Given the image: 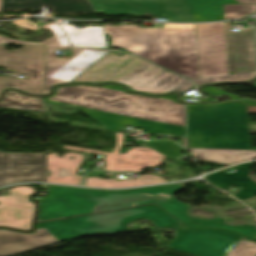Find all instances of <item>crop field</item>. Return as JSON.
Returning <instances> with one entry per match:
<instances>
[{
    "instance_id": "3316defc",
    "label": "crop field",
    "mask_w": 256,
    "mask_h": 256,
    "mask_svg": "<svg viewBox=\"0 0 256 256\" xmlns=\"http://www.w3.org/2000/svg\"><path fill=\"white\" fill-rule=\"evenodd\" d=\"M55 49L67 50L69 47L47 46L44 95L57 83H67L100 59L109 51L91 48H71L69 60L55 58ZM75 79V78H74Z\"/></svg>"
},
{
    "instance_id": "214f88e0",
    "label": "crop field",
    "mask_w": 256,
    "mask_h": 256,
    "mask_svg": "<svg viewBox=\"0 0 256 256\" xmlns=\"http://www.w3.org/2000/svg\"><path fill=\"white\" fill-rule=\"evenodd\" d=\"M196 160L211 161L223 164L239 163L256 159V151L188 149Z\"/></svg>"
},
{
    "instance_id": "5a996713",
    "label": "crop field",
    "mask_w": 256,
    "mask_h": 256,
    "mask_svg": "<svg viewBox=\"0 0 256 256\" xmlns=\"http://www.w3.org/2000/svg\"><path fill=\"white\" fill-rule=\"evenodd\" d=\"M96 13L171 18V22H194L192 0H89Z\"/></svg>"
},
{
    "instance_id": "733c2abd",
    "label": "crop field",
    "mask_w": 256,
    "mask_h": 256,
    "mask_svg": "<svg viewBox=\"0 0 256 256\" xmlns=\"http://www.w3.org/2000/svg\"><path fill=\"white\" fill-rule=\"evenodd\" d=\"M251 164L252 162L235 166L234 173H226L223 171L213 173L208 176V180L224 190L230 184L243 187L235 197L245 200L254 196L256 193V184L248 177Z\"/></svg>"
},
{
    "instance_id": "bd1437ed",
    "label": "crop field",
    "mask_w": 256,
    "mask_h": 256,
    "mask_svg": "<svg viewBox=\"0 0 256 256\" xmlns=\"http://www.w3.org/2000/svg\"><path fill=\"white\" fill-rule=\"evenodd\" d=\"M135 158H144V159H156L161 161L162 158H157V157H143V156H136Z\"/></svg>"
},
{
    "instance_id": "028f5c9d",
    "label": "crop field",
    "mask_w": 256,
    "mask_h": 256,
    "mask_svg": "<svg viewBox=\"0 0 256 256\" xmlns=\"http://www.w3.org/2000/svg\"><path fill=\"white\" fill-rule=\"evenodd\" d=\"M255 89H256V87H255Z\"/></svg>"
},
{
    "instance_id": "ac0d7876",
    "label": "crop field",
    "mask_w": 256,
    "mask_h": 256,
    "mask_svg": "<svg viewBox=\"0 0 256 256\" xmlns=\"http://www.w3.org/2000/svg\"><path fill=\"white\" fill-rule=\"evenodd\" d=\"M185 189L186 187L179 184L125 191H100L49 185L48 198L40 200L38 222L156 203L189 226L222 228L256 238L254 225L228 226L225 225V218L222 217L202 220L189 216L187 211L190 206L174 198L176 193Z\"/></svg>"
},
{
    "instance_id": "d3111659",
    "label": "crop field",
    "mask_w": 256,
    "mask_h": 256,
    "mask_svg": "<svg viewBox=\"0 0 256 256\" xmlns=\"http://www.w3.org/2000/svg\"><path fill=\"white\" fill-rule=\"evenodd\" d=\"M249 113H256V104H248Z\"/></svg>"
},
{
    "instance_id": "dd49c442",
    "label": "crop field",
    "mask_w": 256,
    "mask_h": 256,
    "mask_svg": "<svg viewBox=\"0 0 256 256\" xmlns=\"http://www.w3.org/2000/svg\"><path fill=\"white\" fill-rule=\"evenodd\" d=\"M109 52L72 82L114 81L133 90L160 94L168 91L184 92L194 83L154 66L137 57H122Z\"/></svg>"
},
{
    "instance_id": "cbeb9de0",
    "label": "crop field",
    "mask_w": 256,
    "mask_h": 256,
    "mask_svg": "<svg viewBox=\"0 0 256 256\" xmlns=\"http://www.w3.org/2000/svg\"><path fill=\"white\" fill-rule=\"evenodd\" d=\"M57 242L59 241L45 229H36L31 234L0 229V256H11Z\"/></svg>"
},
{
    "instance_id": "d1516ede",
    "label": "crop field",
    "mask_w": 256,
    "mask_h": 256,
    "mask_svg": "<svg viewBox=\"0 0 256 256\" xmlns=\"http://www.w3.org/2000/svg\"><path fill=\"white\" fill-rule=\"evenodd\" d=\"M8 191L9 196L0 197V225L28 230L34 206L26 196L34 189L21 186Z\"/></svg>"
},
{
    "instance_id": "d9b57169",
    "label": "crop field",
    "mask_w": 256,
    "mask_h": 256,
    "mask_svg": "<svg viewBox=\"0 0 256 256\" xmlns=\"http://www.w3.org/2000/svg\"><path fill=\"white\" fill-rule=\"evenodd\" d=\"M50 7L54 12L76 14L95 12L88 0H3L1 11Z\"/></svg>"
},
{
    "instance_id": "1d83c4d3",
    "label": "crop field",
    "mask_w": 256,
    "mask_h": 256,
    "mask_svg": "<svg viewBox=\"0 0 256 256\" xmlns=\"http://www.w3.org/2000/svg\"><path fill=\"white\" fill-rule=\"evenodd\" d=\"M181 141L184 142V146L183 147H187V138H181Z\"/></svg>"
},
{
    "instance_id": "f4fd0767",
    "label": "crop field",
    "mask_w": 256,
    "mask_h": 256,
    "mask_svg": "<svg viewBox=\"0 0 256 256\" xmlns=\"http://www.w3.org/2000/svg\"><path fill=\"white\" fill-rule=\"evenodd\" d=\"M188 130L190 147L250 149L241 102L188 105Z\"/></svg>"
},
{
    "instance_id": "00972430",
    "label": "crop field",
    "mask_w": 256,
    "mask_h": 256,
    "mask_svg": "<svg viewBox=\"0 0 256 256\" xmlns=\"http://www.w3.org/2000/svg\"><path fill=\"white\" fill-rule=\"evenodd\" d=\"M145 175L138 177V179H130V180H116V179H101V178H87L85 186L92 187H128V186H136V185H145V184H154V183H163L167 182L165 179L156 176L150 175L151 177L146 179ZM150 180H154L151 182Z\"/></svg>"
},
{
    "instance_id": "8a807250",
    "label": "crop field",
    "mask_w": 256,
    "mask_h": 256,
    "mask_svg": "<svg viewBox=\"0 0 256 256\" xmlns=\"http://www.w3.org/2000/svg\"><path fill=\"white\" fill-rule=\"evenodd\" d=\"M177 95L151 97L130 94L119 85L80 84L56 87L44 100L78 107L110 131L131 125L147 133L185 136L184 104Z\"/></svg>"
},
{
    "instance_id": "120bbe31",
    "label": "crop field",
    "mask_w": 256,
    "mask_h": 256,
    "mask_svg": "<svg viewBox=\"0 0 256 256\" xmlns=\"http://www.w3.org/2000/svg\"><path fill=\"white\" fill-rule=\"evenodd\" d=\"M136 149L151 150L149 148H136Z\"/></svg>"
},
{
    "instance_id": "bc2a9ffb",
    "label": "crop field",
    "mask_w": 256,
    "mask_h": 256,
    "mask_svg": "<svg viewBox=\"0 0 256 256\" xmlns=\"http://www.w3.org/2000/svg\"><path fill=\"white\" fill-rule=\"evenodd\" d=\"M73 46L107 48L103 27L77 29L72 25L60 24Z\"/></svg>"
},
{
    "instance_id": "ae1a2a85",
    "label": "crop field",
    "mask_w": 256,
    "mask_h": 256,
    "mask_svg": "<svg viewBox=\"0 0 256 256\" xmlns=\"http://www.w3.org/2000/svg\"><path fill=\"white\" fill-rule=\"evenodd\" d=\"M201 90H202L203 92H205V93H208V94L213 95V96H216V97H220L222 94H227V95H229L233 100L240 99V98H238V97H235V96H233V95H231V94H228V93H226V92H223V91H221V90H219V89H217V88L211 87V86H205V87H203Z\"/></svg>"
},
{
    "instance_id": "730fd06b",
    "label": "crop field",
    "mask_w": 256,
    "mask_h": 256,
    "mask_svg": "<svg viewBox=\"0 0 256 256\" xmlns=\"http://www.w3.org/2000/svg\"><path fill=\"white\" fill-rule=\"evenodd\" d=\"M227 256H256V245L251 242L240 241L228 252Z\"/></svg>"
},
{
    "instance_id": "d32e631a",
    "label": "crop field",
    "mask_w": 256,
    "mask_h": 256,
    "mask_svg": "<svg viewBox=\"0 0 256 256\" xmlns=\"http://www.w3.org/2000/svg\"><path fill=\"white\" fill-rule=\"evenodd\" d=\"M67 173H69V172H66V173H62L61 175H62V176H64V175H65V174H67Z\"/></svg>"
},
{
    "instance_id": "eef30255",
    "label": "crop field",
    "mask_w": 256,
    "mask_h": 256,
    "mask_svg": "<svg viewBox=\"0 0 256 256\" xmlns=\"http://www.w3.org/2000/svg\"><path fill=\"white\" fill-rule=\"evenodd\" d=\"M151 146L155 148V150L159 153L168 152L172 150L181 149L178 145H176L172 141L167 142H159V143H149Z\"/></svg>"
},
{
    "instance_id": "5142ce71",
    "label": "crop field",
    "mask_w": 256,
    "mask_h": 256,
    "mask_svg": "<svg viewBox=\"0 0 256 256\" xmlns=\"http://www.w3.org/2000/svg\"><path fill=\"white\" fill-rule=\"evenodd\" d=\"M116 135H117L118 145L112 154L78 149V148H71L66 146H63V148L97 153V154H107L105 158V160L107 161V166L104 170H109V171H140V169L144 167L160 165V162L156 160L132 159L136 155L164 157L163 155L155 151H142V150L131 149L126 154L120 155L118 151L123 144V135L122 133H116Z\"/></svg>"
},
{
    "instance_id": "4a817a6b",
    "label": "crop field",
    "mask_w": 256,
    "mask_h": 256,
    "mask_svg": "<svg viewBox=\"0 0 256 256\" xmlns=\"http://www.w3.org/2000/svg\"><path fill=\"white\" fill-rule=\"evenodd\" d=\"M70 156L76 157L69 160ZM83 155L65 154L64 158L57 157L56 153L48 155V170L52 171L48 182L80 185L82 176H76V171L82 163ZM70 171V174L62 177L61 172Z\"/></svg>"
},
{
    "instance_id": "92a150f3",
    "label": "crop field",
    "mask_w": 256,
    "mask_h": 256,
    "mask_svg": "<svg viewBox=\"0 0 256 256\" xmlns=\"http://www.w3.org/2000/svg\"><path fill=\"white\" fill-rule=\"evenodd\" d=\"M223 4H237L233 0H193L195 22L224 20Z\"/></svg>"
},
{
    "instance_id": "d8731c3e",
    "label": "crop field",
    "mask_w": 256,
    "mask_h": 256,
    "mask_svg": "<svg viewBox=\"0 0 256 256\" xmlns=\"http://www.w3.org/2000/svg\"><path fill=\"white\" fill-rule=\"evenodd\" d=\"M45 57L46 46H24L8 52L6 45H0V66L14 74L28 73V80L0 76V97L8 88L43 95Z\"/></svg>"
},
{
    "instance_id": "5866460e",
    "label": "crop field",
    "mask_w": 256,
    "mask_h": 256,
    "mask_svg": "<svg viewBox=\"0 0 256 256\" xmlns=\"http://www.w3.org/2000/svg\"><path fill=\"white\" fill-rule=\"evenodd\" d=\"M0 8H1V0H0Z\"/></svg>"
},
{
    "instance_id": "e52e79f7",
    "label": "crop field",
    "mask_w": 256,
    "mask_h": 256,
    "mask_svg": "<svg viewBox=\"0 0 256 256\" xmlns=\"http://www.w3.org/2000/svg\"><path fill=\"white\" fill-rule=\"evenodd\" d=\"M201 79L197 85L221 81H249L256 72L229 75L226 32L224 22L195 24Z\"/></svg>"
},
{
    "instance_id": "412701ff",
    "label": "crop field",
    "mask_w": 256,
    "mask_h": 256,
    "mask_svg": "<svg viewBox=\"0 0 256 256\" xmlns=\"http://www.w3.org/2000/svg\"><path fill=\"white\" fill-rule=\"evenodd\" d=\"M112 47H121L158 66L185 76L199 77L194 24H165L164 28L104 26Z\"/></svg>"
},
{
    "instance_id": "4177f3b9",
    "label": "crop field",
    "mask_w": 256,
    "mask_h": 256,
    "mask_svg": "<svg viewBox=\"0 0 256 256\" xmlns=\"http://www.w3.org/2000/svg\"><path fill=\"white\" fill-rule=\"evenodd\" d=\"M225 20L245 17V14L256 12V6L250 5H224Z\"/></svg>"
},
{
    "instance_id": "34b2d1b8",
    "label": "crop field",
    "mask_w": 256,
    "mask_h": 256,
    "mask_svg": "<svg viewBox=\"0 0 256 256\" xmlns=\"http://www.w3.org/2000/svg\"><path fill=\"white\" fill-rule=\"evenodd\" d=\"M135 219H148L158 228L176 229V237L170 248L197 256H224L226 250L242 238L222 230L182 229L177 220L156 205L51 221L41 223L38 227H45L62 242L84 235L124 231L129 222Z\"/></svg>"
},
{
    "instance_id": "dafd665d",
    "label": "crop field",
    "mask_w": 256,
    "mask_h": 256,
    "mask_svg": "<svg viewBox=\"0 0 256 256\" xmlns=\"http://www.w3.org/2000/svg\"><path fill=\"white\" fill-rule=\"evenodd\" d=\"M0 107L46 112L42 98L23 95L16 91H7Z\"/></svg>"
},
{
    "instance_id": "22f410ed",
    "label": "crop field",
    "mask_w": 256,
    "mask_h": 256,
    "mask_svg": "<svg viewBox=\"0 0 256 256\" xmlns=\"http://www.w3.org/2000/svg\"><path fill=\"white\" fill-rule=\"evenodd\" d=\"M231 73L256 70V52L253 29L231 31L230 22H225Z\"/></svg>"
},
{
    "instance_id": "28ad6ade",
    "label": "crop field",
    "mask_w": 256,
    "mask_h": 256,
    "mask_svg": "<svg viewBox=\"0 0 256 256\" xmlns=\"http://www.w3.org/2000/svg\"><path fill=\"white\" fill-rule=\"evenodd\" d=\"M47 182V154L0 152V186Z\"/></svg>"
},
{
    "instance_id": "750c4746",
    "label": "crop field",
    "mask_w": 256,
    "mask_h": 256,
    "mask_svg": "<svg viewBox=\"0 0 256 256\" xmlns=\"http://www.w3.org/2000/svg\"><path fill=\"white\" fill-rule=\"evenodd\" d=\"M241 4H256V0H237Z\"/></svg>"
},
{
    "instance_id": "a9b5d70f",
    "label": "crop field",
    "mask_w": 256,
    "mask_h": 256,
    "mask_svg": "<svg viewBox=\"0 0 256 256\" xmlns=\"http://www.w3.org/2000/svg\"><path fill=\"white\" fill-rule=\"evenodd\" d=\"M44 29H51L54 36L46 40L45 42L38 44L34 42H23L17 41L13 39H8L0 36V44H25V45H56V46H70L68 44L67 38L63 31L56 25V23L52 22L50 24H46L41 26Z\"/></svg>"
}]
</instances>
